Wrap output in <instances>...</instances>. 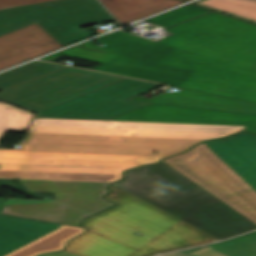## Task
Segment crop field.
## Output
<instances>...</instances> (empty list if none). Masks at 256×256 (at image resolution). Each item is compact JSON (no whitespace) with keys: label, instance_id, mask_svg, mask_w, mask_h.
Masks as SVG:
<instances>
[{"label":"crop field","instance_id":"8a807250","mask_svg":"<svg viewBox=\"0 0 256 256\" xmlns=\"http://www.w3.org/2000/svg\"><path fill=\"white\" fill-rule=\"evenodd\" d=\"M244 126L35 118L21 149L0 148V178L56 200L8 199L3 213L81 226L107 208L106 187L124 170L154 163Z\"/></svg>","mask_w":256,"mask_h":256},{"label":"crop field","instance_id":"ac0d7876","mask_svg":"<svg viewBox=\"0 0 256 256\" xmlns=\"http://www.w3.org/2000/svg\"><path fill=\"white\" fill-rule=\"evenodd\" d=\"M119 205L84 221L85 233L66 250L80 256H150L217 239L111 186ZM142 232L143 235H136Z\"/></svg>","mask_w":256,"mask_h":256},{"label":"crop field","instance_id":"34b2d1b8","mask_svg":"<svg viewBox=\"0 0 256 256\" xmlns=\"http://www.w3.org/2000/svg\"><path fill=\"white\" fill-rule=\"evenodd\" d=\"M115 186L221 240L256 229V224L161 162L125 174Z\"/></svg>","mask_w":256,"mask_h":256},{"label":"crop field","instance_id":"412701ff","mask_svg":"<svg viewBox=\"0 0 256 256\" xmlns=\"http://www.w3.org/2000/svg\"><path fill=\"white\" fill-rule=\"evenodd\" d=\"M161 41L235 67L256 72V25L212 11L166 28Z\"/></svg>","mask_w":256,"mask_h":256},{"label":"crop field","instance_id":"f4fd0767","mask_svg":"<svg viewBox=\"0 0 256 256\" xmlns=\"http://www.w3.org/2000/svg\"><path fill=\"white\" fill-rule=\"evenodd\" d=\"M152 103L111 120L245 125L256 134V103L182 89L152 99Z\"/></svg>","mask_w":256,"mask_h":256},{"label":"crop field","instance_id":"dd49c442","mask_svg":"<svg viewBox=\"0 0 256 256\" xmlns=\"http://www.w3.org/2000/svg\"><path fill=\"white\" fill-rule=\"evenodd\" d=\"M96 39L107 40L112 45L100 48L87 41L77 46L102 52L73 47L40 59L46 60L61 54L103 64L91 70L166 83L172 86H177L188 72L155 64L170 48L168 46L120 31Z\"/></svg>","mask_w":256,"mask_h":256},{"label":"crop field","instance_id":"e52e79f7","mask_svg":"<svg viewBox=\"0 0 256 256\" xmlns=\"http://www.w3.org/2000/svg\"><path fill=\"white\" fill-rule=\"evenodd\" d=\"M111 20L97 0H57L0 9V35L37 22L64 46L88 37L81 26Z\"/></svg>","mask_w":256,"mask_h":256},{"label":"crop field","instance_id":"d8731c3e","mask_svg":"<svg viewBox=\"0 0 256 256\" xmlns=\"http://www.w3.org/2000/svg\"><path fill=\"white\" fill-rule=\"evenodd\" d=\"M163 161L256 223V192L203 143Z\"/></svg>","mask_w":256,"mask_h":256},{"label":"crop field","instance_id":"5a996713","mask_svg":"<svg viewBox=\"0 0 256 256\" xmlns=\"http://www.w3.org/2000/svg\"><path fill=\"white\" fill-rule=\"evenodd\" d=\"M123 78L65 67L2 90L0 99L38 113Z\"/></svg>","mask_w":256,"mask_h":256},{"label":"crop field","instance_id":"3316defc","mask_svg":"<svg viewBox=\"0 0 256 256\" xmlns=\"http://www.w3.org/2000/svg\"><path fill=\"white\" fill-rule=\"evenodd\" d=\"M158 64L190 70L177 87L256 102V73L171 47Z\"/></svg>","mask_w":256,"mask_h":256},{"label":"crop field","instance_id":"28ad6ade","mask_svg":"<svg viewBox=\"0 0 256 256\" xmlns=\"http://www.w3.org/2000/svg\"><path fill=\"white\" fill-rule=\"evenodd\" d=\"M161 86L125 78L45 110L36 117L109 120L147 105L126 100Z\"/></svg>","mask_w":256,"mask_h":256},{"label":"crop field","instance_id":"d1516ede","mask_svg":"<svg viewBox=\"0 0 256 256\" xmlns=\"http://www.w3.org/2000/svg\"><path fill=\"white\" fill-rule=\"evenodd\" d=\"M49 35L37 23L1 35L0 69L62 47Z\"/></svg>","mask_w":256,"mask_h":256},{"label":"crop field","instance_id":"22f410ed","mask_svg":"<svg viewBox=\"0 0 256 256\" xmlns=\"http://www.w3.org/2000/svg\"><path fill=\"white\" fill-rule=\"evenodd\" d=\"M204 144L256 191V135L240 132L226 140Z\"/></svg>","mask_w":256,"mask_h":256},{"label":"crop field","instance_id":"cbeb9de0","mask_svg":"<svg viewBox=\"0 0 256 256\" xmlns=\"http://www.w3.org/2000/svg\"><path fill=\"white\" fill-rule=\"evenodd\" d=\"M58 227V224L0 215V256Z\"/></svg>","mask_w":256,"mask_h":256},{"label":"crop field","instance_id":"5142ce71","mask_svg":"<svg viewBox=\"0 0 256 256\" xmlns=\"http://www.w3.org/2000/svg\"><path fill=\"white\" fill-rule=\"evenodd\" d=\"M121 24L182 3L179 0H100Z\"/></svg>","mask_w":256,"mask_h":256},{"label":"crop field","instance_id":"d9b57169","mask_svg":"<svg viewBox=\"0 0 256 256\" xmlns=\"http://www.w3.org/2000/svg\"><path fill=\"white\" fill-rule=\"evenodd\" d=\"M179 252L188 256H256V231Z\"/></svg>","mask_w":256,"mask_h":256},{"label":"crop field","instance_id":"733c2abd","mask_svg":"<svg viewBox=\"0 0 256 256\" xmlns=\"http://www.w3.org/2000/svg\"><path fill=\"white\" fill-rule=\"evenodd\" d=\"M84 231L83 228L60 225V227L4 256H34L39 253L59 250L65 241Z\"/></svg>","mask_w":256,"mask_h":256},{"label":"crop field","instance_id":"4a817a6b","mask_svg":"<svg viewBox=\"0 0 256 256\" xmlns=\"http://www.w3.org/2000/svg\"><path fill=\"white\" fill-rule=\"evenodd\" d=\"M65 67L63 65L34 61L0 74V90Z\"/></svg>","mask_w":256,"mask_h":256},{"label":"crop field","instance_id":"bc2a9ffb","mask_svg":"<svg viewBox=\"0 0 256 256\" xmlns=\"http://www.w3.org/2000/svg\"><path fill=\"white\" fill-rule=\"evenodd\" d=\"M216 11L256 23V2L248 0H199L194 2Z\"/></svg>","mask_w":256,"mask_h":256},{"label":"crop field","instance_id":"214f88e0","mask_svg":"<svg viewBox=\"0 0 256 256\" xmlns=\"http://www.w3.org/2000/svg\"><path fill=\"white\" fill-rule=\"evenodd\" d=\"M33 113L0 103V140L8 131L25 132Z\"/></svg>","mask_w":256,"mask_h":256},{"label":"crop field","instance_id":"92a150f3","mask_svg":"<svg viewBox=\"0 0 256 256\" xmlns=\"http://www.w3.org/2000/svg\"><path fill=\"white\" fill-rule=\"evenodd\" d=\"M205 8L199 7L194 4H189L172 11L157 15L155 17L147 19L151 23H155L165 28L167 26L173 25L180 21L186 20L188 18L203 14L208 12Z\"/></svg>","mask_w":256,"mask_h":256},{"label":"crop field","instance_id":"dafd665d","mask_svg":"<svg viewBox=\"0 0 256 256\" xmlns=\"http://www.w3.org/2000/svg\"><path fill=\"white\" fill-rule=\"evenodd\" d=\"M50 0H0V8L19 6L31 3H38Z\"/></svg>","mask_w":256,"mask_h":256},{"label":"crop field","instance_id":"00972430","mask_svg":"<svg viewBox=\"0 0 256 256\" xmlns=\"http://www.w3.org/2000/svg\"><path fill=\"white\" fill-rule=\"evenodd\" d=\"M41 256H78V255H75L71 252H68L66 250H64L63 252H58V253H48V254H43Z\"/></svg>","mask_w":256,"mask_h":256},{"label":"crop field","instance_id":"a9b5d70f","mask_svg":"<svg viewBox=\"0 0 256 256\" xmlns=\"http://www.w3.org/2000/svg\"><path fill=\"white\" fill-rule=\"evenodd\" d=\"M160 256H186V255H183L179 252H172V253L163 254V255H160Z\"/></svg>","mask_w":256,"mask_h":256},{"label":"crop field","instance_id":"4177f3b9","mask_svg":"<svg viewBox=\"0 0 256 256\" xmlns=\"http://www.w3.org/2000/svg\"><path fill=\"white\" fill-rule=\"evenodd\" d=\"M6 198H0V213L2 212L3 206H4V202H5Z\"/></svg>","mask_w":256,"mask_h":256},{"label":"crop field","instance_id":"730fd06b","mask_svg":"<svg viewBox=\"0 0 256 256\" xmlns=\"http://www.w3.org/2000/svg\"><path fill=\"white\" fill-rule=\"evenodd\" d=\"M253 1H256V0H253Z\"/></svg>","mask_w":256,"mask_h":256}]
</instances>
